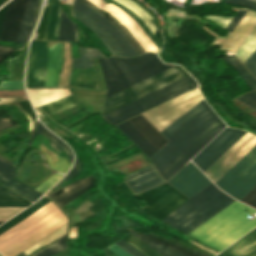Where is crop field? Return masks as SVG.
<instances>
[{
	"label": "crop field",
	"instance_id": "obj_43",
	"mask_svg": "<svg viewBox=\"0 0 256 256\" xmlns=\"http://www.w3.org/2000/svg\"><path fill=\"white\" fill-rule=\"evenodd\" d=\"M65 229H66V225L62 226L61 228H59L58 230L54 231L50 235L46 236L42 240L38 241L37 243H35L34 245H32L30 248H28L25 251L29 255L32 252H34L35 250L39 249L40 247L50 244L55 239H57L59 236L65 234Z\"/></svg>",
	"mask_w": 256,
	"mask_h": 256
},
{
	"label": "crop field",
	"instance_id": "obj_36",
	"mask_svg": "<svg viewBox=\"0 0 256 256\" xmlns=\"http://www.w3.org/2000/svg\"><path fill=\"white\" fill-rule=\"evenodd\" d=\"M31 202L4 189L0 188V207L2 206H29Z\"/></svg>",
	"mask_w": 256,
	"mask_h": 256
},
{
	"label": "crop field",
	"instance_id": "obj_15",
	"mask_svg": "<svg viewBox=\"0 0 256 256\" xmlns=\"http://www.w3.org/2000/svg\"><path fill=\"white\" fill-rule=\"evenodd\" d=\"M168 183L190 198L212 182L192 162H189Z\"/></svg>",
	"mask_w": 256,
	"mask_h": 256
},
{
	"label": "crop field",
	"instance_id": "obj_70",
	"mask_svg": "<svg viewBox=\"0 0 256 256\" xmlns=\"http://www.w3.org/2000/svg\"><path fill=\"white\" fill-rule=\"evenodd\" d=\"M6 0H0V5L3 4Z\"/></svg>",
	"mask_w": 256,
	"mask_h": 256
},
{
	"label": "crop field",
	"instance_id": "obj_22",
	"mask_svg": "<svg viewBox=\"0 0 256 256\" xmlns=\"http://www.w3.org/2000/svg\"><path fill=\"white\" fill-rule=\"evenodd\" d=\"M63 43L49 42L45 86H57L62 58Z\"/></svg>",
	"mask_w": 256,
	"mask_h": 256
},
{
	"label": "crop field",
	"instance_id": "obj_56",
	"mask_svg": "<svg viewBox=\"0 0 256 256\" xmlns=\"http://www.w3.org/2000/svg\"><path fill=\"white\" fill-rule=\"evenodd\" d=\"M223 2L232 3V4H236V5H240V6H244V7H248L256 10V2L251 0H223Z\"/></svg>",
	"mask_w": 256,
	"mask_h": 256
},
{
	"label": "crop field",
	"instance_id": "obj_3",
	"mask_svg": "<svg viewBox=\"0 0 256 256\" xmlns=\"http://www.w3.org/2000/svg\"><path fill=\"white\" fill-rule=\"evenodd\" d=\"M254 212L235 201L187 235L221 251L256 226V218L247 219Z\"/></svg>",
	"mask_w": 256,
	"mask_h": 256
},
{
	"label": "crop field",
	"instance_id": "obj_8",
	"mask_svg": "<svg viewBox=\"0 0 256 256\" xmlns=\"http://www.w3.org/2000/svg\"><path fill=\"white\" fill-rule=\"evenodd\" d=\"M215 184L239 200L247 194L256 185V146Z\"/></svg>",
	"mask_w": 256,
	"mask_h": 256
},
{
	"label": "crop field",
	"instance_id": "obj_68",
	"mask_svg": "<svg viewBox=\"0 0 256 256\" xmlns=\"http://www.w3.org/2000/svg\"><path fill=\"white\" fill-rule=\"evenodd\" d=\"M189 240V239H188ZM191 241V240H190ZM191 242H193V241H191ZM193 243H195V242H193ZM196 245H198V246H200V247H202V248H204L203 246H201V245H199V244H197V243H195ZM204 249H206V248H204ZM209 249V248H208ZM208 249H206V250H208ZM208 251H210L211 253H213V254H217V253H215V252H213V251H211V250H208Z\"/></svg>",
	"mask_w": 256,
	"mask_h": 256
},
{
	"label": "crop field",
	"instance_id": "obj_11",
	"mask_svg": "<svg viewBox=\"0 0 256 256\" xmlns=\"http://www.w3.org/2000/svg\"><path fill=\"white\" fill-rule=\"evenodd\" d=\"M254 145H256V136L247 132L204 173L215 183Z\"/></svg>",
	"mask_w": 256,
	"mask_h": 256
},
{
	"label": "crop field",
	"instance_id": "obj_57",
	"mask_svg": "<svg viewBox=\"0 0 256 256\" xmlns=\"http://www.w3.org/2000/svg\"><path fill=\"white\" fill-rule=\"evenodd\" d=\"M114 243H116L118 246H120L121 248H123L125 251H127L128 253H130L132 256H143L141 253H139L138 251H136L134 248H132L130 245H128L127 243H125L123 240L119 239L117 241H115Z\"/></svg>",
	"mask_w": 256,
	"mask_h": 256
},
{
	"label": "crop field",
	"instance_id": "obj_46",
	"mask_svg": "<svg viewBox=\"0 0 256 256\" xmlns=\"http://www.w3.org/2000/svg\"><path fill=\"white\" fill-rule=\"evenodd\" d=\"M2 157V156H1ZM0 157V177L5 181H10L15 177L14 167Z\"/></svg>",
	"mask_w": 256,
	"mask_h": 256
},
{
	"label": "crop field",
	"instance_id": "obj_28",
	"mask_svg": "<svg viewBox=\"0 0 256 256\" xmlns=\"http://www.w3.org/2000/svg\"><path fill=\"white\" fill-rule=\"evenodd\" d=\"M36 6L37 0H28L15 42L25 43L33 27Z\"/></svg>",
	"mask_w": 256,
	"mask_h": 256
},
{
	"label": "crop field",
	"instance_id": "obj_51",
	"mask_svg": "<svg viewBox=\"0 0 256 256\" xmlns=\"http://www.w3.org/2000/svg\"><path fill=\"white\" fill-rule=\"evenodd\" d=\"M25 207H2L0 208V218H11ZM8 219H0V221H6Z\"/></svg>",
	"mask_w": 256,
	"mask_h": 256
},
{
	"label": "crop field",
	"instance_id": "obj_12",
	"mask_svg": "<svg viewBox=\"0 0 256 256\" xmlns=\"http://www.w3.org/2000/svg\"><path fill=\"white\" fill-rule=\"evenodd\" d=\"M245 133V131L226 128L203 151L201 150L202 152L193 161L204 172Z\"/></svg>",
	"mask_w": 256,
	"mask_h": 256
},
{
	"label": "crop field",
	"instance_id": "obj_59",
	"mask_svg": "<svg viewBox=\"0 0 256 256\" xmlns=\"http://www.w3.org/2000/svg\"><path fill=\"white\" fill-rule=\"evenodd\" d=\"M120 189L127 195V197L135 204V206L140 210V206L135 201L134 197L135 195L132 193V191L127 187L125 183L119 184Z\"/></svg>",
	"mask_w": 256,
	"mask_h": 256
},
{
	"label": "crop field",
	"instance_id": "obj_17",
	"mask_svg": "<svg viewBox=\"0 0 256 256\" xmlns=\"http://www.w3.org/2000/svg\"><path fill=\"white\" fill-rule=\"evenodd\" d=\"M27 0H12L8 5H6L4 8L0 10V29L3 23H4L0 32V39L2 40H9V41H15L16 34L21 22V18L26 6ZM8 4V3H7Z\"/></svg>",
	"mask_w": 256,
	"mask_h": 256
},
{
	"label": "crop field",
	"instance_id": "obj_20",
	"mask_svg": "<svg viewBox=\"0 0 256 256\" xmlns=\"http://www.w3.org/2000/svg\"><path fill=\"white\" fill-rule=\"evenodd\" d=\"M92 186H94V178L91 175L87 178L78 180L48 196L51 197L61 207Z\"/></svg>",
	"mask_w": 256,
	"mask_h": 256
},
{
	"label": "crop field",
	"instance_id": "obj_33",
	"mask_svg": "<svg viewBox=\"0 0 256 256\" xmlns=\"http://www.w3.org/2000/svg\"><path fill=\"white\" fill-rule=\"evenodd\" d=\"M38 133L44 135L50 141L49 145L54 150L59 151V147H60L66 153V155L70 158V162L72 161L73 155H72V152L69 149V147L67 145H65L62 141H60L57 137H55L50 132H48L39 121H38V126H37L32 138H31L30 144H31L32 140L34 139V137ZM50 138H52L59 145V147Z\"/></svg>",
	"mask_w": 256,
	"mask_h": 256
},
{
	"label": "crop field",
	"instance_id": "obj_32",
	"mask_svg": "<svg viewBox=\"0 0 256 256\" xmlns=\"http://www.w3.org/2000/svg\"><path fill=\"white\" fill-rule=\"evenodd\" d=\"M39 147L42 150V152L45 154L51 168L61 173H66V171L70 168L72 163H68L65 159L54 154L43 143Z\"/></svg>",
	"mask_w": 256,
	"mask_h": 256
},
{
	"label": "crop field",
	"instance_id": "obj_67",
	"mask_svg": "<svg viewBox=\"0 0 256 256\" xmlns=\"http://www.w3.org/2000/svg\"><path fill=\"white\" fill-rule=\"evenodd\" d=\"M247 95L250 96L253 100L256 101V92L255 91L247 93Z\"/></svg>",
	"mask_w": 256,
	"mask_h": 256
},
{
	"label": "crop field",
	"instance_id": "obj_49",
	"mask_svg": "<svg viewBox=\"0 0 256 256\" xmlns=\"http://www.w3.org/2000/svg\"><path fill=\"white\" fill-rule=\"evenodd\" d=\"M50 2H51V0L49 1L48 6L44 8L41 19H40L37 29L35 31V32H39L36 39L44 40V32H45V28H46V22H47V16H48Z\"/></svg>",
	"mask_w": 256,
	"mask_h": 256
},
{
	"label": "crop field",
	"instance_id": "obj_10",
	"mask_svg": "<svg viewBox=\"0 0 256 256\" xmlns=\"http://www.w3.org/2000/svg\"><path fill=\"white\" fill-rule=\"evenodd\" d=\"M138 197L148 205L142 210L160 219L188 200L168 184L141 193Z\"/></svg>",
	"mask_w": 256,
	"mask_h": 256
},
{
	"label": "crop field",
	"instance_id": "obj_69",
	"mask_svg": "<svg viewBox=\"0 0 256 256\" xmlns=\"http://www.w3.org/2000/svg\"><path fill=\"white\" fill-rule=\"evenodd\" d=\"M17 256H26L23 252L18 254Z\"/></svg>",
	"mask_w": 256,
	"mask_h": 256
},
{
	"label": "crop field",
	"instance_id": "obj_19",
	"mask_svg": "<svg viewBox=\"0 0 256 256\" xmlns=\"http://www.w3.org/2000/svg\"><path fill=\"white\" fill-rule=\"evenodd\" d=\"M126 182L135 193H141L163 183V180L152 166L126 176Z\"/></svg>",
	"mask_w": 256,
	"mask_h": 256
},
{
	"label": "crop field",
	"instance_id": "obj_29",
	"mask_svg": "<svg viewBox=\"0 0 256 256\" xmlns=\"http://www.w3.org/2000/svg\"><path fill=\"white\" fill-rule=\"evenodd\" d=\"M130 121L158 150L167 142L141 115Z\"/></svg>",
	"mask_w": 256,
	"mask_h": 256
},
{
	"label": "crop field",
	"instance_id": "obj_72",
	"mask_svg": "<svg viewBox=\"0 0 256 256\" xmlns=\"http://www.w3.org/2000/svg\"><path fill=\"white\" fill-rule=\"evenodd\" d=\"M106 256H108V255L106 254Z\"/></svg>",
	"mask_w": 256,
	"mask_h": 256
},
{
	"label": "crop field",
	"instance_id": "obj_13",
	"mask_svg": "<svg viewBox=\"0 0 256 256\" xmlns=\"http://www.w3.org/2000/svg\"><path fill=\"white\" fill-rule=\"evenodd\" d=\"M81 58L75 59L74 68L94 67L90 57H104L98 49L80 48ZM70 86L97 89L94 68L73 69Z\"/></svg>",
	"mask_w": 256,
	"mask_h": 256
},
{
	"label": "crop field",
	"instance_id": "obj_14",
	"mask_svg": "<svg viewBox=\"0 0 256 256\" xmlns=\"http://www.w3.org/2000/svg\"><path fill=\"white\" fill-rule=\"evenodd\" d=\"M48 42L32 41L28 57L26 86H44Z\"/></svg>",
	"mask_w": 256,
	"mask_h": 256
},
{
	"label": "crop field",
	"instance_id": "obj_5",
	"mask_svg": "<svg viewBox=\"0 0 256 256\" xmlns=\"http://www.w3.org/2000/svg\"><path fill=\"white\" fill-rule=\"evenodd\" d=\"M233 201L212 183L161 220L187 234Z\"/></svg>",
	"mask_w": 256,
	"mask_h": 256
},
{
	"label": "crop field",
	"instance_id": "obj_55",
	"mask_svg": "<svg viewBox=\"0 0 256 256\" xmlns=\"http://www.w3.org/2000/svg\"><path fill=\"white\" fill-rule=\"evenodd\" d=\"M243 64L256 77V50L251 54V56Z\"/></svg>",
	"mask_w": 256,
	"mask_h": 256
},
{
	"label": "crop field",
	"instance_id": "obj_7",
	"mask_svg": "<svg viewBox=\"0 0 256 256\" xmlns=\"http://www.w3.org/2000/svg\"><path fill=\"white\" fill-rule=\"evenodd\" d=\"M188 74L179 66H176L166 72L152 77L142 83L128 88L118 94H115L105 100L102 115L128 104L138 98H141L151 92H154L164 86L178 81Z\"/></svg>",
	"mask_w": 256,
	"mask_h": 256
},
{
	"label": "crop field",
	"instance_id": "obj_52",
	"mask_svg": "<svg viewBox=\"0 0 256 256\" xmlns=\"http://www.w3.org/2000/svg\"><path fill=\"white\" fill-rule=\"evenodd\" d=\"M63 175L61 174H54L51 176L48 180H46L43 184H41L38 188L35 190L45 193L47 190H49Z\"/></svg>",
	"mask_w": 256,
	"mask_h": 256
},
{
	"label": "crop field",
	"instance_id": "obj_34",
	"mask_svg": "<svg viewBox=\"0 0 256 256\" xmlns=\"http://www.w3.org/2000/svg\"><path fill=\"white\" fill-rule=\"evenodd\" d=\"M256 49V25L247 36L240 48L235 52V55L243 63L250 54Z\"/></svg>",
	"mask_w": 256,
	"mask_h": 256
},
{
	"label": "crop field",
	"instance_id": "obj_31",
	"mask_svg": "<svg viewBox=\"0 0 256 256\" xmlns=\"http://www.w3.org/2000/svg\"><path fill=\"white\" fill-rule=\"evenodd\" d=\"M60 16V1L54 0L49 16L46 40H57V27Z\"/></svg>",
	"mask_w": 256,
	"mask_h": 256
},
{
	"label": "crop field",
	"instance_id": "obj_18",
	"mask_svg": "<svg viewBox=\"0 0 256 256\" xmlns=\"http://www.w3.org/2000/svg\"><path fill=\"white\" fill-rule=\"evenodd\" d=\"M74 7L88 16L90 19L99 24L102 28L108 31L112 37L116 40V42L120 45L123 51L127 54L128 57L138 55L135 49L131 46V44L126 40V38L121 34V32L114 27L110 22H108L105 18L100 16L98 13L90 9L88 6L80 2L79 0H75Z\"/></svg>",
	"mask_w": 256,
	"mask_h": 256
},
{
	"label": "crop field",
	"instance_id": "obj_47",
	"mask_svg": "<svg viewBox=\"0 0 256 256\" xmlns=\"http://www.w3.org/2000/svg\"><path fill=\"white\" fill-rule=\"evenodd\" d=\"M120 7L122 10H124L129 16H131L137 23L138 25L143 29V31L148 35V37L152 40V42L157 46V48H159L160 43L158 42V40L154 37V35L151 33V31L147 28V26L143 23V21L138 18L134 13H132L130 10L122 7V6H118Z\"/></svg>",
	"mask_w": 256,
	"mask_h": 256
},
{
	"label": "crop field",
	"instance_id": "obj_44",
	"mask_svg": "<svg viewBox=\"0 0 256 256\" xmlns=\"http://www.w3.org/2000/svg\"><path fill=\"white\" fill-rule=\"evenodd\" d=\"M65 236L66 235H64L62 238H60L54 244L41 249L40 251L32 254L31 256H51V255L63 250L64 248H66Z\"/></svg>",
	"mask_w": 256,
	"mask_h": 256
},
{
	"label": "crop field",
	"instance_id": "obj_74",
	"mask_svg": "<svg viewBox=\"0 0 256 256\" xmlns=\"http://www.w3.org/2000/svg\"><path fill=\"white\" fill-rule=\"evenodd\" d=\"M0 256H2V255L0 254Z\"/></svg>",
	"mask_w": 256,
	"mask_h": 256
},
{
	"label": "crop field",
	"instance_id": "obj_21",
	"mask_svg": "<svg viewBox=\"0 0 256 256\" xmlns=\"http://www.w3.org/2000/svg\"><path fill=\"white\" fill-rule=\"evenodd\" d=\"M73 15L75 18L80 20L82 23H84L86 26H88L92 31H94L97 34V36L103 42V44L111 53V55L127 57L126 54L122 51V49L115 42V40L111 37V35L108 32H106L104 29H102L100 26H98L99 24L97 25L96 23H94L95 21L93 22L92 20H90L88 17H86L76 8H73Z\"/></svg>",
	"mask_w": 256,
	"mask_h": 256
},
{
	"label": "crop field",
	"instance_id": "obj_48",
	"mask_svg": "<svg viewBox=\"0 0 256 256\" xmlns=\"http://www.w3.org/2000/svg\"><path fill=\"white\" fill-rule=\"evenodd\" d=\"M18 104L30 121V132H29V134H30V133H32L33 128L35 126V122H36L35 114H34L32 107L28 100L19 101Z\"/></svg>",
	"mask_w": 256,
	"mask_h": 256
},
{
	"label": "crop field",
	"instance_id": "obj_42",
	"mask_svg": "<svg viewBox=\"0 0 256 256\" xmlns=\"http://www.w3.org/2000/svg\"><path fill=\"white\" fill-rule=\"evenodd\" d=\"M121 239H123L125 242H127L128 244H130L132 247H134L135 249H137L139 252H141L143 255L145 256H160L159 254H157L155 251H153L152 249H150L148 246H146L145 244H143L142 242H140L138 239H136L135 237H133L131 234H126L124 237H122Z\"/></svg>",
	"mask_w": 256,
	"mask_h": 256
},
{
	"label": "crop field",
	"instance_id": "obj_60",
	"mask_svg": "<svg viewBox=\"0 0 256 256\" xmlns=\"http://www.w3.org/2000/svg\"><path fill=\"white\" fill-rule=\"evenodd\" d=\"M83 163L79 162L78 160H75V164H74V167L73 169L68 173V175L59 183H63L65 182L66 180L70 179L71 177H73L74 175H76L80 170V166L82 165ZM58 184V185H59ZM57 186V185H56Z\"/></svg>",
	"mask_w": 256,
	"mask_h": 256
},
{
	"label": "crop field",
	"instance_id": "obj_58",
	"mask_svg": "<svg viewBox=\"0 0 256 256\" xmlns=\"http://www.w3.org/2000/svg\"><path fill=\"white\" fill-rule=\"evenodd\" d=\"M246 11L247 10L239 9V11L236 13V15L233 17V19L227 25L226 29L232 31L234 29V27L237 25V23L240 21V19L243 17V15L246 13Z\"/></svg>",
	"mask_w": 256,
	"mask_h": 256
},
{
	"label": "crop field",
	"instance_id": "obj_6",
	"mask_svg": "<svg viewBox=\"0 0 256 256\" xmlns=\"http://www.w3.org/2000/svg\"><path fill=\"white\" fill-rule=\"evenodd\" d=\"M196 86V81L192 77L188 76L178 82H175L167 87H164L128 105H125L117 110H114L104 115V117L111 123L117 124L127 118H130L142 111H145L155 105H158L168 99H171Z\"/></svg>",
	"mask_w": 256,
	"mask_h": 256
},
{
	"label": "crop field",
	"instance_id": "obj_45",
	"mask_svg": "<svg viewBox=\"0 0 256 256\" xmlns=\"http://www.w3.org/2000/svg\"><path fill=\"white\" fill-rule=\"evenodd\" d=\"M136 232V231H135ZM138 235H140V236H143V237H145V238H148V239H150V240H152V241H155V242H157V243H160V244H162V245H165V246H167V247H169V248H172V249H174V250H177V251H179V252H182V253H184V254H187V255H189V256H197V255H195V254H193V253H191V252H189V251H187V250H184V249H182V248H180V247H177V246H175V245H173V244H170V243H167V242H165V241H163V240H161V239H158V238H155V237H153V236H150V235H147V234H144V233H140V232H136ZM153 235H155V234H153ZM156 236H158V235H156ZM158 237H160V236H158ZM160 238H162V237H160ZM164 239V238H163ZM166 240V239H165ZM167 241H169V240H167ZM169 242H171V243H174V244H176V245H179V246H182V245H180V244H178V243H176V242H173V241H169ZM182 247H184V246H182ZM184 248H186V247H184ZM188 249V248H187ZM189 250H191V249H189ZM191 251H193V250H191ZM193 252H195V253H197V254H200L201 256H207V255H205V254H201V253H198V252H196V251H193Z\"/></svg>",
	"mask_w": 256,
	"mask_h": 256
},
{
	"label": "crop field",
	"instance_id": "obj_38",
	"mask_svg": "<svg viewBox=\"0 0 256 256\" xmlns=\"http://www.w3.org/2000/svg\"><path fill=\"white\" fill-rule=\"evenodd\" d=\"M224 59L229 62L240 74L242 79L248 84V86L254 90L256 89V80L252 75L246 70V68L240 63V61L234 56L224 57Z\"/></svg>",
	"mask_w": 256,
	"mask_h": 256
},
{
	"label": "crop field",
	"instance_id": "obj_4",
	"mask_svg": "<svg viewBox=\"0 0 256 256\" xmlns=\"http://www.w3.org/2000/svg\"><path fill=\"white\" fill-rule=\"evenodd\" d=\"M99 61L108 90L106 98L175 66L163 64L153 53L132 59L113 57Z\"/></svg>",
	"mask_w": 256,
	"mask_h": 256
},
{
	"label": "crop field",
	"instance_id": "obj_39",
	"mask_svg": "<svg viewBox=\"0 0 256 256\" xmlns=\"http://www.w3.org/2000/svg\"><path fill=\"white\" fill-rule=\"evenodd\" d=\"M78 102L74 99L72 95L62 98L60 100L54 101L52 103L41 106V109L47 114H52L54 112L60 111L62 109L68 108L77 104Z\"/></svg>",
	"mask_w": 256,
	"mask_h": 256
},
{
	"label": "crop field",
	"instance_id": "obj_64",
	"mask_svg": "<svg viewBox=\"0 0 256 256\" xmlns=\"http://www.w3.org/2000/svg\"><path fill=\"white\" fill-rule=\"evenodd\" d=\"M202 28H204L206 31H208L209 33H211L213 36H215L216 37V39H215V41L212 43V44H218V45H220V46H222V44L224 43V41H225V39L227 38V36L229 35V32H228V34H227V36L226 37H219L217 34H215L214 32H212L211 30H209L208 28H206V27H202Z\"/></svg>",
	"mask_w": 256,
	"mask_h": 256
},
{
	"label": "crop field",
	"instance_id": "obj_9",
	"mask_svg": "<svg viewBox=\"0 0 256 256\" xmlns=\"http://www.w3.org/2000/svg\"><path fill=\"white\" fill-rule=\"evenodd\" d=\"M202 99L196 87L143 114L161 131Z\"/></svg>",
	"mask_w": 256,
	"mask_h": 256
},
{
	"label": "crop field",
	"instance_id": "obj_37",
	"mask_svg": "<svg viewBox=\"0 0 256 256\" xmlns=\"http://www.w3.org/2000/svg\"><path fill=\"white\" fill-rule=\"evenodd\" d=\"M83 3L91 7L93 10L101 14L103 17H105L108 21H110L114 26H116L122 34L127 38V40L132 44V46L137 50L139 54L143 53L142 49L138 46V44L134 41V39L129 35V33L125 30V28L119 24L115 19H113L110 15L90 3L88 0H81ZM135 50V51H136Z\"/></svg>",
	"mask_w": 256,
	"mask_h": 256
},
{
	"label": "crop field",
	"instance_id": "obj_66",
	"mask_svg": "<svg viewBox=\"0 0 256 256\" xmlns=\"http://www.w3.org/2000/svg\"><path fill=\"white\" fill-rule=\"evenodd\" d=\"M76 233H77L76 227L70 228V231H69V238L76 237Z\"/></svg>",
	"mask_w": 256,
	"mask_h": 256
},
{
	"label": "crop field",
	"instance_id": "obj_1",
	"mask_svg": "<svg viewBox=\"0 0 256 256\" xmlns=\"http://www.w3.org/2000/svg\"><path fill=\"white\" fill-rule=\"evenodd\" d=\"M51 202L42 198L0 226V234ZM67 222L62 212L51 202L22 222L0 235V252L14 256ZM1 253V254H2Z\"/></svg>",
	"mask_w": 256,
	"mask_h": 256
},
{
	"label": "crop field",
	"instance_id": "obj_53",
	"mask_svg": "<svg viewBox=\"0 0 256 256\" xmlns=\"http://www.w3.org/2000/svg\"><path fill=\"white\" fill-rule=\"evenodd\" d=\"M23 89L22 80L1 81L0 90Z\"/></svg>",
	"mask_w": 256,
	"mask_h": 256
},
{
	"label": "crop field",
	"instance_id": "obj_73",
	"mask_svg": "<svg viewBox=\"0 0 256 256\" xmlns=\"http://www.w3.org/2000/svg\"><path fill=\"white\" fill-rule=\"evenodd\" d=\"M0 187H2V186L0 185Z\"/></svg>",
	"mask_w": 256,
	"mask_h": 256
},
{
	"label": "crop field",
	"instance_id": "obj_2",
	"mask_svg": "<svg viewBox=\"0 0 256 256\" xmlns=\"http://www.w3.org/2000/svg\"><path fill=\"white\" fill-rule=\"evenodd\" d=\"M218 119L203 99L162 130L170 142L151 158L159 173Z\"/></svg>",
	"mask_w": 256,
	"mask_h": 256
},
{
	"label": "crop field",
	"instance_id": "obj_40",
	"mask_svg": "<svg viewBox=\"0 0 256 256\" xmlns=\"http://www.w3.org/2000/svg\"><path fill=\"white\" fill-rule=\"evenodd\" d=\"M121 5H123L124 7L130 9L132 12H134L138 17H140L144 23L148 26V28L152 31V33L154 34V32L156 31L155 27L152 25V23L149 21V19H152V17L150 15H148L138 4L134 3L131 0H126L129 3L133 4L134 6H136L145 16H147L149 19H147L137 8L133 7L132 5H130L129 3L123 1V0H113Z\"/></svg>",
	"mask_w": 256,
	"mask_h": 256
},
{
	"label": "crop field",
	"instance_id": "obj_35",
	"mask_svg": "<svg viewBox=\"0 0 256 256\" xmlns=\"http://www.w3.org/2000/svg\"><path fill=\"white\" fill-rule=\"evenodd\" d=\"M0 183L4 184L5 186H7L11 189H13L16 192L22 194L23 196H25L26 198H28L32 202H35L40 196L43 195V194L35 191L34 189H32V188L14 180V179L11 180L10 182H8V184L0 179Z\"/></svg>",
	"mask_w": 256,
	"mask_h": 256
},
{
	"label": "crop field",
	"instance_id": "obj_27",
	"mask_svg": "<svg viewBox=\"0 0 256 256\" xmlns=\"http://www.w3.org/2000/svg\"><path fill=\"white\" fill-rule=\"evenodd\" d=\"M225 125L221 121L212 131H210L193 149H191L173 168H171L163 177L168 180L176 173L188 160H190L203 146H205Z\"/></svg>",
	"mask_w": 256,
	"mask_h": 256
},
{
	"label": "crop field",
	"instance_id": "obj_16",
	"mask_svg": "<svg viewBox=\"0 0 256 256\" xmlns=\"http://www.w3.org/2000/svg\"><path fill=\"white\" fill-rule=\"evenodd\" d=\"M99 8L107 11L112 16H114L119 22H121L131 35L136 39L140 46L145 52L152 51L157 52L156 46L151 42V40L146 36L142 29L137 25V23L130 18L125 12L119 9L113 4H105L102 0H89Z\"/></svg>",
	"mask_w": 256,
	"mask_h": 256
},
{
	"label": "crop field",
	"instance_id": "obj_63",
	"mask_svg": "<svg viewBox=\"0 0 256 256\" xmlns=\"http://www.w3.org/2000/svg\"><path fill=\"white\" fill-rule=\"evenodd\" d=\"M242 102H244L245 104H247L248 106H250L251 108H253L254 110H256V102L253 101L252 99H250L248 96H246L245 94L236 98ZM256 118V117H255Z\"/></svg>",
	"mask_w": 256,
	"mask_h": 256
},
{
	"label": "crop field",
	"instance_id": "obj_30",
	"mask_svg": "<svg viewBox=\"0 0 256 256\" xmlns=\"http://www.w3.org/2000/svg\"><path fill=\"white\" fill-rule=\"evenodd\" d=\"M61 10L62 17L58 34V41L77 42V29L75 23L69 17L66 16L62 7Z\"/></svg>",
	"mask_w": 256,
	"mask_h": 256
},
{
	"label": "crop field",
	"instance_id": "obj_54",
	"mask_svg": "<svg viewBox=\"0 0 256 256\" xmlns=\"http://www.w3.org/2000/svg\"><path fill=\"white\" fill-rule=\"evenodd\" d=\"M241 201L256 208V186Z\"/></svg>",
	"mask_w": 256,
	"mask_h": 256
},
{
	"label": "crop field",
	"instance_id": "obj_62",
	"mask_svg": "<svg viewBox=\"0 0 256 256\" xmlns=\"http://www.w3.org/2000/svg\"><path fill=\"white\" fill-rule=\"evenodd\" d=\"M14 48L0 46V62L14 52Z\"/></svg>",
	"mask_w": 256,
	"mask_h": 256
},
{
	"label": "crop field",
	"instance_id": "obj_25",
	"mask_svg": "<svg viewBox=\"0 0 256 256\" xmlns=\"http://www.w3.org/2000/svg\"><path fill=\"white\" fill-rule=\"evenodd\" d=\"M27 91L34 107L41 106L71 94L69 88L27 89Z\"/></svg>",
	"mask_w": 256,
	"mask_h": 256
},
{
	"label": "crop field",
	"instance_id": "obj_23",
	"mask_svg": "<svg viewBox=\"0 0 256 256\" xmlns=\"http://www.w3.org/2000/svg\"><path fill=\"white\" fill-rule=\"evenodd\" d=\"M217 256H256V229Z\"/></svg>",
	"mask_w": 256,
	"mask_h": 256
},
{
	"label": "crop field",
	"instance_id": "obj_24",
	"mask_svg": "<svg viewBox=\"0 0 256 256\" xmlns=\"http://www.w3.org/2000/svg\"><path fill=\"white\" fill-rule=\"evenodd\" d=\"M255 21H256V13L248 11V13L242 19L240 24L231 34L229 39L223 45V48L234 51L235 48L243 41V39L248 34L250 29L253 27Z\"/></svg>",
	"mask_w": 256,
	"mask_h": 256
},
{
	"label": "crop field",
	"instance_id": "obj_26",
	"mask_svg": "<svg viewBox=\"0 0 256 256\" xmlns=\"http://www.w3.org/2000/svg\"><path fill=\"white\" fill-rule=\"evenodd\" d=\"M117 127L124 132L145 154L150 157L158 150L135 128L129 121H125Z\"/></svg>",
	"mask_w": 256,
	"mask_h": 256
},
{
	"label": "crop field",
	"instance_id": "obj_65",
	"mask_svg": "<svg viewBox=\"0 0 256 256\" xmlns=\"http://www.w3.org/2000/svg\"><path fill=\"white\" fill-rule=\"evenodd\" d=\"M8 126H11L10 121L7 120V119H2V118L0 117V130H1V129H4V128L8 127Z\"/></svg>",
	"mask_w": 256,
	"mask_h": 256
},
{
	"label": "crop field",
	"instance_id": "obj_50",
	"mask_svg": "<svg viewBox=\"0 0 256 256\" xmlns=\"http://www.w3.org/2000/svg\"><path fill=\"white\" fill-rule=\"evenodd\" d=\"M221 120L219 119L214 125H212L202 136H200L190 147H188L178 158H176L161 174L162 176L173 167L191 148H193L211 129H213ZM212 131V130H211Z\"/></svg>",
	"mask_w": 256,
	"mask_h": 256
},
{
	"label": "crop field",
	"instance_id": "obj_41",
	"mask_svg": "<svg viewBox=\"0 0 256 256\" xmlns=\"http://www.w3.org/2000/svg\"><path fill=\"white\" fill-rule=\"evenodd\" d=\"M129 230L132 235H134L135 237H137L138 239H140L141 241H143L145 244H147L148 246H150L152 249H154L156 252H158L159 254H161L162 256H186L183 255L179 252H176L174 250H171L167 247H164L162 245H159L155 242H152L150 240H147L143 237L138 236L137 234H135L133 231H131L129 228L127 229Z\"/></svg>",
	"mask_w": 256,
	"mask_h": 256
},
{
	"label": "crop field",
	"instance_id": "obj_61",
	"mask_svg": "<svg viewBox=\"0 0 256 256\" xmlns=\"http://www.w3.org/2000/svg\"><path fill=\"white\" fill-rule=\"evenodd\" d=\"M107 248H109L111 251H113L115 254H117L118 256H131L130 254H128L127 252H125L123 249H121L120 247H118L116 244H111L109 245Z\"/></svg>",
	"mask_w": 256,
	"mask_h": 256
},
{
	"label": "crop field",
	"instance_id": "obj_71",
	"mask_svg": "<svg viewBox=\"0 0 256 256\" xmlns=\"http://www.w3.org/2000/svg\"><path fill=\"white\" fill-rule=\"evenodd\" d=\"M3 222H0V224H2Z\"/></svg>",
	"mask_w": 256,
	"mask_h": 256
}]
</instances>
